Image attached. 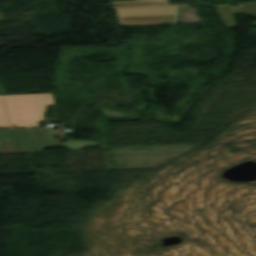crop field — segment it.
Returning a JSON list of instances; mask_svg holds the SVG:
<instances>
[{"label": "crop field", "mask_w": 256, "mask_h": 256, "mask_svg": "<svg viewBox=\"0 0 256 256\" xmlns=\"http://www.w3.org/2000/svg\"><path fill=\"white\" fill-rule=\"evenodd\" d=\"M53 103L52 93L0 95V126H37L45 106Z\"/></svg>", "instance_id": "1"}, {"label": "crop field", "mask_w": 256, "mask_h": 256, "mask_svg": "<svg viewBox=\"0 0 256 256\" xmlns=\"http://www.w3.org/2000/svg\"><path fill=\"white\" fill-rule=\"evenodd\" d=\"M48 143L46 129H0V153L37 152Z\"/></svg>", "instance_id": "2"}, {"label": "crop field", "mask_w": 256, "mask_h": 256, "mask_svg": "<svg viewBox=\"0 0 256 256\" xmlns=\"http://www.w3.org/2000/svg\"><path fill=\"white\" fill-rule=\"evenodd\" d=\"M121 25L176 23L178 6L115 8Z\"/></svg>", "instance_id": "3"}, {"label": "crop field", "mask_w": 256, "mask_h": 256, "mask_svg": "<svg viewBox=\"0 0 256 256\" xmlns=\"http://www.w3.org/2000/svg\"><path fill=\"white\" fill-rule=\"evenodd\" d=\"M216 9L221 19L228 27L236 26L230 14L246 13L251 16H256V3L246 4L244 6H221ZM253 25H256V22H254Z\"/></svg>", "instance_id": "4"}, {"label": "crop field", "mask_w": 256, "mask_h": 256, "mask_svg": "<svg viewBox=\"0 0 256 256\" xmlns=\"http://www.w3.org/2000/svg\"><path fill=\"white\" fill-rule=\"evenodd\" d=\"M85 146H96V141L69 140L61 145V147H67L70 150H79Z\"/></svg>", "instance_id": "5"}, {"label": "crop field", "mask_w": 256, "mask_h": 256, "mask_svg": "<svg viewBox=\"0 0 256 256\" xmlns=\"http://www.w3.org/2000/svg\"><path fill=\"white\" fill-rule=\"evenodd\" d=\"M154 3H168L167 0H124L114 1V5H131V4H154Z\"/></svg>", "instance_id": "6"}, {"label": "crop field", "mask_w": 256, "mask_h": 256, "mask_svg": "<svg viewBox=\"0 0 256 256\" xmlns=\"http://www.w3.org/2000/svg\"><path fill=\"white\" fill-rule=\"evenodd\" d=\"M177 4H187V3H177ZM154 5H170V4H154ZM132 6H148V5H132Z\"/></svg>", "instance_id": "7"}, {"label": "crop field", "mask_w": 256, "mask_h": 256, "mask_svg": "<svg viewBox=\"0 0 256 256\" xmlns=\"http://www.w3.org/2000/svg\"><path fill=\"white\" fill-rule=\"evenodd\" d=\"M1 21H4V20H3V18H2V15L0 14V22H1Z\"/></svg>", "instance_id": "8"}]
</instances>
